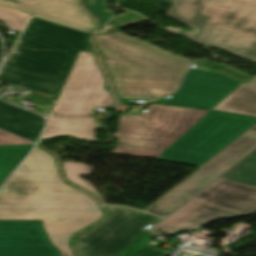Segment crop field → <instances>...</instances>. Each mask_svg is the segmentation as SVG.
Masks as SVG:
<instances>
[{
	"label": "crop field",
	"mask_w": 256,
	"mask_h": 256,
	"mask_svg": "<svg viewBox=\"0 0 256 256\" xmlns=\"http://www.w3.org/2000/svg\"><path fill=\"white\" fill-rule=\"evenodd\" d=\"M82 32L33 17L0 71V81L58 98L80 51L94 52Z\"/></svg>",
	"instance_id": "crop-field-1"
},
{
	"label": "crop field",
	"mask_w": 256,
	"mask_h": 256,
	"mask_svg": "<svg viewBox=\"0 0 256 256\" xmlns=\"http://www.w3.org/2000/svg\"><path fill=\"white\" fill-rule=\"evenodd\" d=\"M95 42L119 98L167 95L177 89L193 62L119 32L97 35Z\"/></svg>",
	"instance_id": "crop-field-2"
},
{
	"label": "crop field",
	"mask_w": 256,
	"mask_h": 256,
	"mask_svg": "<svg viewBox=\"0 0 256 256\" xmlns=\"http://www.w3.org/2000/svg\"><path fill=\"white\" fill-rule=\"evenodd\" d=\"M167 15L198 29L192 39L256 62V0H177Z\"/></svg>",
	"instance_id": "crop-field-3"
},
{
	"label": "crop field",
	"mask_w": 256,
	"mask_h": 256,
	"mask_svg": "<svg viewBox=\"0 0 256 256\" xmlns=\"http://www.w3.org/2000/svg\"><path fill=\"white\" fill-rule=\"evenodd\" d=\"M2 188L7 190L0 191V206H97L93 198L60 180L54 157L38 146Z\"/></svg>",
	"instance_id": "crop-field-4"
},
{
	"label": "crop field",
	"mask_w": 256,
	"mask_h": 256,
	"mask_svg": "<svg viewBox=\"0 0 256 256\" xmlns=\"http://www.w3.org/2000/svg\"><path fill=\"white\" fill-rule=\"evenodd\" d=\"M148 109V113L121 117L114 134L120 145L112 153L156 158L209 112L161 105Z\"/></svg>",
	"instance_id": "crop-field-5"
},
{
	"label": "crop field",
	"mask_w": 256,
	"mask_h": 256,
	"mask_svg": "<svg viewBox=\"0 0 256 256\" xmlns=\"http://www.w3.org/2000/svg\"><path fill=\"white\" fill-rule=\"evenodd\" d=\"M251 213H256V188L219 178L152 230H193L211 220Z\"/></svg>",
	"instance_id": "crop-field-6"
},
{
	"label": "crop field",
	"mask_w": 256,
	"mask_h": 256,
	"mask_svg": "<svg viewBox=\"0 0 256 256\" xmlns=\"http://www.w3.org/2000/svg\"><path fill=\"white\" fill-rule=\"evenodd\" d=\"M255 123V117L212 110L156 160L198 167Z\"/></svg>",
	"instance_id": "crop-field-7"
},
{
	"label": "crop field",
	"mask_w": 256,
	"mask_h": 256,
	"mask_svg": "<svg viewBox=\"0 0 256 256\" xmlns=\"http://www.w3.org/2000/svg\"><path fill=\"white\" fill-rule=\"evenodd\" d=\"M94 53L80 52L53 112L60 117L95 115L94 107L116 106Z\"/></svg>",
	"instance_id": "crop-field-8"
},
{
	"label": "crop field",
	"mask_w": 256,
	"mask_h": 256,
	"mask_svg": "<svg viewBox=\"0 0 256 256\" xmlns=\"http://www.w3.org/2000/svg\"><path fill=\"white\" fill-rule=\"evenodd\" d=\"M109 218L77 239L81 256H114L161 218L122 206H107Z\"/></svg>",
	"instance_id": "crop-field-9"
},
{
	"label": "crop field",
	"mask_w": 256,
	"mask_h": 256,
	"mask_svg": "<svg viewBox=\"0 0 256 256\" xmlns=\"http://www.w3.org/2000/svg\"><path fill=\"white\" fill-rule=\"evenodd\" d=\"M256 147V126L144 211L165 217Z\"/></svg>",
	"instance_id": "crop-field-10"
},
{
	"label": "crop field",
	"mask_w": 256,
	"mask_h": 256,
	"mask_svg": "<svg viewBox=\"0 0 256 256\" xmlns=\"http://www.w3.org/2000/svg\"><path fill=\"white\" fill-rule=\"evenodd\" d=\"M103 217L101 208L95 209H32L0 208L3 220H41L52 243L62 256H75L70 241L80 229Z\"/></svg>",
	"instance_id": "crop-field-11"
},
{
	"label": "crop field",
	"mask_w": 256,
	"mask_h": 256,
	"mask_svg": "<svg viewBox=\"0 0 256 256\" xmlns=\"http://www.w3.org/2000/svg\"><path fill=\"white\" fill-rule=\"evenodd\" d=\"M198 64L203 66L197 62ZM212 72L189 69L179 91L171 98L153 103L212 110L241 82L203 66Z\"/></svg>",
	"instance_id": "crop-field-12"
},
{
	"label": "crop field",
	"mask_w": 256,
	"mask_h": 256,
	"mask_svg": "<svg viewBox=\"0 0 256 256\" xmlns=\"http://www.w3.org/2000/svg\"><path fill=\"white\" fill-rule=\"evenodd\" d=\"M0 256H60L41 221H0Z\"/></svg>",
	"instance_id": "crop-field-13"
},
{
	"label": "crop field",
	"mask_w": 256,
	"mask_h": 256,
	"mask_svg": "<svg viewBox=\"0 0 256 256\" xmlns=\"http://www.w3.org/2000/svg\"><path fill=\"white\" fill-rule=\"evenodd\" d=\"M77 0H0V4L51 19L82 30H93L91 19L76 4Z\"/></svg>",
	"instance_id": "crop-field-14"
},
{
	"label": "crop field",
	"mask_w": 256,
	"mask_h": 256,
	"mask_svg": "<svg viewBox=\"0 0 256 256\" xmlns=\"http://www.w3.org/2000/svg\"><path fill=\"white\" fill-rule=\"evenodd\" d=\"M96 118H56L48 119V127L41 139L70 135L81 139L97 140L94 130L100 127ZM98 141V140H97Z\"/></svg>",
	"instance_id": "crop-field-15"
},
{
	"label": "crop field",
	"mask_w": 256,
	"mask_h": 256,
	"mask_svg": "<svg viewBox=\"0 0 256 256\" xmlns=\"http://www.w3.org/2000/svg\"><path fill=\"white\" fill-rule=\"evenodd\" d=\"M213 109L256 116V76L248 84L242 83Z\"/></svg>",
	"instance_id": "crop-field-16"
},
{
	"label": "crop field",
	"mask_w": 256,
	"mask_h": 256,
	"mask_svg": "<svg viewBox=\"0 0 256 256\" xmlns=\"http://www.w3.org/2000/svg\"><path fill=\"white\" fill-rule=\"evenodd\" d=\"M33 145L0 146V185L23 160Z\"/></svg>",
	"instance_id": "crop-field-17"
},
{
	"label": "crop field",
	"mask_w": 256,
	"mask_h": 256,
	"mask_svg": "<svg viewBox=\"0 0 256 256\" xmlns=\"http://www.w3.org/2000/svg\"><path fill=\"white\" fill-rule=\"evenodd\" d=\"M0 129L34 142L43 128L0 111Z\"/></svg>",
	"instance_id": "crop-field-18"
},
{
	"label": "crop field",
	"mask_w": 256,
	"mask_h": 256,
	"mask_svg": "<svg viewBox=\"0 0 256 256\" xmlns=\"http://www.w3.org/2000/svg\"><path fill=\"white\" fill-rule=\"evenodd\" d=\"M221 178L256 187V151L231 168Z\"/></svg>",
	"instance_id": "crop-field-19"
},
{
	"label": "crop field",
	"mask_w": 256,
	"mask_h": 256,
	"mask_svg": "<svg viewBox=\"0 0 256 256\" xmlns=\"http://www.w3.org/2000/svg\"><path fill=\"white\" fill-rule=\"evenodd\" d=\"M153 232H146L116 256H167L170 251L146 245L148 241L157 236Z\"/></svg>",
	"instance_id": "crop-field-20"
},
{
	"label": "crop field",
	"mask_w": 256,
	"mask_h": 256,
	"mask_svg": "<svg viewBox=\"0 0 256 256\" xmlns=\"http://www.w3.org/2000/svg\"><path fill=\"white\" fill-rule=\"evenodd\" d=\"M65 176L73 183L87 189L88 191L95 194L102 202L105 204L103 199L100 197L99 193L93 187V185L89 182L83 181L79 179V174H92L93 168L82 164V163H72V162H64L63 163Z\"/></svg>",
	"instance_id": "crop-field-21"
},
{
	"label": "crop field",
	"mask_w": 256,
	"mask_h": 256,
	"mask_svg": "<svg viewBox=\"0 0 256 256\" xmlns=\"http://www.w3.org/2000/svg\"><path fill=\"white\" fill-rule=\"evenodd\" d=\"M29 17L30 14L0 5V20L9 25L11 30L21 32Z\"/></svg>",
	"instance_id": "crop-field-22"
},
{
	"label": "crop field",
	"mask_w": 256,
	"mask_h": 256,
	"mask_svg": "<svg viewBox=\"0 0 256 256\" xmlns=\"http://www.w3.org/2000/svg\"><path fill=\"white\" fill-rule=\"evenodd\" d=\"M173 4L176 0H158ZM83 4L90 10L100 23V31L103 30L106 22L110 20L114 12L106 10L104 0H82Z\"/></svg>",
	"instance_id": "crop-field-23"
},
{
	"label": "crop field",
	"mask_w": 256,
	"mask_h": 256,
	"mask_svg": "<svg viewBox=\"0 0 256 256\" xmlns=\"http://www.w3.org/2000/svg\"><path fill=\"white\" fill-rule=\"evenodd\" d=\"M0 110L7 112L9 114H12L14 116H17L19 118H22L24 120L30 121L32 123H35L37 125H40L42 127L44 126V123H45L44 119L41 116L1 101H0Z\"/></svg>",
	"instance_id": "crop-field-24"
},
{
	"label": "crop field",
	"mask_w": 256,
	"mask_h": 256,
	"mask_svg": "<svg viewBox=\"0 0 256 256\" xmlns=\"http://www.w3.org/2000/svg\"><path fill=\"white\" fill-rule=\"evenodd\" d=\"M203 65H206L212 69H215L223 74H226L232 78H235L241 82H245V83H248L253 77L245 74V73H242L236 69H233L225 64L223 65H220V64H217V63H214V62H210V61H207V60H200V61H197Z\"/></svg>",
	"instance_id": "crop-field-25"
},
{
	"label": "crop field",
	"mask_w": 256,
	"mask_h": 256,
	"mask_svg": "<svg viewBox=\"0 0 256 256\" xmlns=\"http://www.w3.org/2000/svg\"><path fill=\"white\" fill-rule=\"evenodd\" d=\"M146 19L140 17L138 14L130 12L124 15L114 17L113 21L117 23L118 28L131 25L137 22L145 21ZM112 21V20H111Z\"/></svg>",
	"instance_id": "crop-field-26"
},
{
	"label": "crop field",
	"mask_w": 256,
	"mask_h": 256,
	"mask_svg": "<svg viewBox=\"0 0 256 256\" xmlns=\"http://www.w3.org/2000/svg\"><path fill=\"white\" fill-rule=\"evenodd\" d=\"M6 144H33V143L0 130V145H6Z\"/></svg>",
	"instance_id": "crop-field-27"
},
{
	"label": "crop field",
	"mask_w": 256,
	"mask_h": 256,
	"mask_svg": "<svg viewBox=\"0 0 256 256\" xmlns=\"http://www.w3.org/2000/svg\"><path fill=\"white\" fill-rule=\"evenodd\" d=\"M149 244H152V245L157 246V244H156L155 240L151 241Z\"/></svg>",
	"instance_id": "crop-field-28"
}]
</instances>
